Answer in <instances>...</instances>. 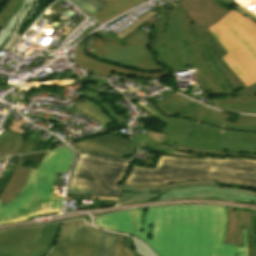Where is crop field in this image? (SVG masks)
Returning <instances> with one entry per match:
<instances>
[{
	"label": "crop field",
	"instance_id": "e1f06a70",
	"mask_svg": "<svg viewBox=\"0 0 256 256\" xmlns=\"http://www.w3.org/2000/svg\"><path fill=\"white\" fill-rule=\"evenodd\" d=\"M247 241H248V256H251L252 248H251V238H250L249 228H247Z\"/></svg>",
	"mask_w": 256,
	"mask_h": 256
},
{
	"label": "crop field",
	"instance_id": "cbeb9de0",
	"mask_svg": "<svg viewBox=\"0 0 256 256\" xmlns=\"http://www.w3.org/2000/svg\"><path fill=\"white\" fill-rule=\"evenodd\" d=\"M74 149L93 153L107 154L122 158L124 154L132 155L135 146L120 136L102 135L100 137L71 144Z\"/></svg>",
	"mask_w": 256,
	"mask_h": 256
},
{
	"label": "crop field",
	"instance_id": "d1516ede",
	"mask_svg": "<svg viewBox=\"0 0 256 256\" xmlns=\"http://www.w3.org/2000/svg\"><path fill=\"white\" fill-rule=\"evenodd\" d=\"M194 75L203 93L210 97L229 96L246 88L222 59L204 66Z\"/></svg>",
	"mask_w": 256,
	"mask_h": 256
},
{
	"label": "crop field",
	"instance_id": "e52e79f7",
	"mask_svg": "<svg viewBox=\"0 0 256 256\" xmlns=\"http://www.w3.org/2000/svg\"><path fill=\"white\" fill-rule=\"evenodd\" d=\"M217 182L185 181L155 187L121 185L119 205L147 201L154 197L160 201L175 199H212L256 203V192L216 187Z\"/></svg>",
	"mask_w": 256,
	"mask_h": 256
},
{
	"label": "crop field",
	"instance_id": "22f410ed",
	"mask_svg": "<svg viewBox=\"0 0 256 256\" xmlns=\"http://www.w3.org/2000/svg\"><path fill=\"white\" fill-rule=\"evenodd\" d=\"M86 41H84L74 52V61L77 65L81 67L88 68L92 70L90 73L103 76L110 77L111 73L119 74V75H127L140 79H155L162 78L163 76L168 74L167 70L161 72H153V73H143L132 71L128 69H124L118 66H114L102 61H99L89 55L86 54L85 48Z\"/></svg>",
	"mask_w": 256,
	"mask_h": 256
},
{
	"label": "crop field",
	"instance_id": "34b2d1b8",
	"mask_svg": "<svg viewBox=\"0 0 256 256\" xmlns=\"http://www.w3.org/2000/svg\"><path fill=\"white\" fill-rule=\"evenodd\" d=\"M157 107L167 116L193 120L183 145L215 151L256 153V117L239 115L235 124L228 114L214 111L177 93Z\"/></svg>",
	"mask_w": 256,
	"mask_h": 256
},
{
	"label": "crop field",
	"instance_id": "d3111659",
	"mask_svg": "<svg viewBox=\"0 0 256 256\" xmlns=\"http://www.w3.org/2000/svg\"><path fill=\"white\" fill-rule=\"evenodd\" d=\"M250 232L252 237V248H253L252 256H256V213H251Z\"/></svg>",
	"mask_w": 256,
	"mask_h": 256
},
{
	"label": "crop field",
	"instance_id": "5a996713",
	"mask_svg": "<svg viewBox=\"0 0 256 256\" xmlns=\"http://www.w3.org/2000/svg\"><path fill=\"white\" fill-rule=\"evenodd\" d=\"M149 36L143 34L137 29L122 39L126 42L121 46L113 38L103 42L100 39L94 43V46L101 53L94 57L121 67L143 72L161 71L164 68L158 66L148 50Z\"/></svg>",
	"mask_w": 256,
	"mask_h": 256
},
{
	"label": "crop field",
	"instance_id": "750c4746",
	"mask_svg": "<svg viewBox=\"0 0 256 256\" xmlns=\"http://www.w3.org/2000/svg\"><path fill=\"white\" fill-rule=\"evenodd\" d=\"M14 171L1 169L0 171V195Z\"/></svg>",
	"mask_w": 256,
	"mask_h": 256
},
{
	"label": "crop field",
	"instance_id": "4177f3b9",
	"mask_svg": "<svg viewBox=\"0 0 256 256\" xmlns=\"http://www.w3.org/2000/svg\"><path fill=\"white\" fill-rule=\"evenodd\" d=\"M118 235L101 232L98 256H115Z\"/></svg>",
	"mask_w": 256,
	"mask_h": 256
},
{
	"label": "crop field",
	"instance_id": "dd49c442",
	"mask_svg": "<svg viewBox=\"0 0 256 256\" xmlns=\"http://www.w3.org/2000/svg\"><path fill=\"white\" fill-rule=\"evenodd\" d=\"M210 31L228 52L222 58L247 87L256 82V23L231 10Z\"/></svg>",
	"mask_w": 256,
	"mask_h": 256
},
{
	"label": "crop field",
	"instance_id": "412701ff",
	"mask_svg": "<svg viewBox=\"0 0 256 256\" xmlns=\"http://www.w3.org/2000/svg\"><path fill=\"white\" fill-rule=\"evenodd\" d=\"M154 50L173 72L198 70L227 53L208 28L193 23L172 5L166 7L157 23Z\"/></svg>",
	"mask_w": 256,
	"mask_h": 256
},
{
	"label": "crop field",
	"instance_id": "5866460e",
	"mask_svg": "<svg viewBox=\"0 0 256 256\" xmlns=\"http://www.w3.org/2000/svg\"><path fill=\"white\" fill-rule=\"evenodd\" d=\"M83 1L87 2L88 4L94 6L95 8H97L99 10L106 7L103 4L99 3L97 0H83Z\"/></svg>",
	"mask_w": 256,
	"mask_h": 256
},
{
	"label": "crop field",
	"instance_id": "d9b57169",
	"mask_svg": "<svg viewBox=\"0 0 256 256\" xmlns=\"http://www.w3.org/2000/svg\"><path fill=\"white\" fill-rule=\"evenodd\" d=\"M169 4L177 5L189 19L206 27L216 23L226 14L205 0H182Z\"/></svg>",
	"mask_w": 256,
	"mask_h": 256
},
{
	"label": "crop field",
	"instance_id": "5142ce71",
	"mask_svg": "<svg viewBox=\"0 0 256 256\" xmlns=\"http://www.w3.org/2000/svg\"><path fill=\"white\" fill-rule=\"evenodd\" d=\"M39 6V0H24L21 9L13 16L5 30L0 32V47L9 51L20 37L25 25Z\"/></svg>",
	"mask_w": 256,
	"mask_h": 256
},
{
	"label": "crop field",
	"instance_id": "028f5c9d",
	"mask_svg": "<svg viewBox=\"0 0 256 256\" xmlns=\"http://www.w3.org/2000/svg\"><path fill=\"white\" fill-rule=\"evenodd\" d=\"M126 246L128 247V249L131 251V253L133 254V256H141L138 253L135 252L132 241L131 240H125ZM126 247V248H127Z\"/></svg>",
	"mask_w": 256,
	"mask_h": 256
},
{
	"label": "crop field",
	"instance_id": "28ad6ade",
	"mask_svg": "<svg viewBox=\"0 0 256 256\" xmlns=\"http://www.w3.org/2000/svg\"><path fill=\"white\" fill-rule=\"evenodd\" d=\"M58 226L59 223L0 232V256H45Z\"/></svg>",
	"mask_w": 256,
	"mask_h": 256
},
{
	"label": "crop field",
	"instance_id": "d8731c3e",
	"mask_svg": "<svg viewBox=\"0 0 256 256\" xmlns=\"http://www.w3.org/2000/svg\"><path fill=\"white\" fill-rule=\"evenodd\" d=\"M77 152V151H76ZM68 194L117 199L119 184L130 162L77 152Z\"/></svg>",
	"mask_w": 256,
	"mask_h": 256
},
{
	"label": "crop field",
	"instance_id": "3316defc",
	"mask_svg": "<svg viewBox=\"0 0 256 256\" xmlns=\"http://www.w3.org/2000/svg\"><path fill=\"white\" fill-rule=\"evenodd\" d=\"M99 236V231L86 226L82 220L64 222L48 256H97ZM124 239L131 238L119 235L116 256H132L124 244Z\"/></svg>",
	"mask_w": 256,
	"mask_h": 256
},
{
	"label": "crop field",
	"instance_id": "92a150f3",
	"mask_svg": "<svg viewBox=\"0 0 256 256\" xmlns=\"http://www.w3.org/2000/svg\"><path fill=\"white\" fill-rule=\"evenodd\" d=\"M22 165H23L22 157L18 156L15 172L12 178L10 179L7 187L5 188L2 195L0 196V200H2V205L6 204L12 198H14L18 194V192L21 190L22 186L24 185L29 173V169L22 168Z\"/></svg>",
	"mask_w": 256,
	"mask_h": 256
},
{
	"label": "crop field",
	"instance_id": "1d83c4d3",
	"mask_svg": "<svg viewBox=\"0 0 256 256\" xmlns=\"http://www.w3.org/2000/svg\"><path fill=\"white\" fill-rule=\"evenodd\" d=\"M136 252L140 253L143 256H154L143 244L132 239Z\"/></svg>",
	"mask_w": 256,
	"mask_h": 256
},
{
	"label": "crop field",
	"instance_id": "8a807250",
	"mask_svg": "<svg viewBox=\"0 0 256 256\" xmlns=\"http://www.w3.org/2000/svg\"><path fill=\"white\" fill-rule=\"evenodd\" d=\"M94 220L103 229L146 241L158 256H247L246 228L242 247L222 244L227 227L226 206L146 207Z\"/></svg>",
	"mask_w": 256,
	"mask_h": 256
},
{
	"label": "crop field",
	"instance_id": "a9b5d70f",
	"mask_svg": "<svg viewBox=\"0 0 256 256\" xmlns=\"http://www.w3.org/2000/svg\"><path fill=\"white\" fill-rule=\"evenodd\" d=\"M82 101L86 102H80L77 104L76 109L85 111L86 113H88L89 115L95 117L96 119H98L100 122H102L103 124H107L111 121H113L111 118H109L106 113L104 112V110L99 106V104L91 101V100H87V99H81Z\"/></svg>",
	"mask_w": 256,
	"mask_h": 256
},
{
	"label": "crop field",
	"instance_id": "bd1437ed",
	"mask_svg": "<svg viewBox=\"0 0 256 256\" xmlns=\"http://www.w3.org/2000/svg\"><path fill=\"white\" fill-rule=\"evenodd\" d=\"M68 1L77 5L82 10H84L92 15L95 14L97 11H99V10L93 8L92 6L88 5L87 3L83 2L82 0H68Z\"/></svg>",
	"mask_w": 256,
	"mask_h": 256
},
{
	"label": "crop field",
	"instance_id": "4a817a6b",
	"mask_svg": "<svg viewBox=\"0 0 256 256\" xmlns=\"http://www.w3.org/2000/svg\"><path fill=\"white\" fill-rule=\"evenodd\" d=\"M211 100L216 108L256 113V84L232 96Z\"/></svg>",
	"mask_w": 256,
	"mask_h": 256
},
{
	"label": "crop field",
	"instance_id": "730fd06b",
	"mask_svg": "<svg viewBox=\"0 0 256 256\" xmlns=\"http://www.w3.org/2000/svg\"><path fill=\"white\" fill-rule=\"evenodd\" d=\"M22 0H10L4 9L0 11V27L4 28L13 15L20 9Z\"/></svg>",
	"mask_w": 256,
	"mask_h": 256
},
{
	"label": "crop field",
	"instance_id": "ac0d7876",
	"mask_svg": "<svg viewBox=\"0 0 256 256\" xmlns=\"http://www.w3.org/2000/svg\"><path fill=\"white\" fill-rule=\"evenodd\" d=\"M179 150L207 154V159L162 154L156 169L133 166L123 184L155 186L175 181L209 180L256 188L255 154L214 152L183 145Z\"/></svg>",
	"mask_w": 256,
	"mask_h": 256
},
{
	"label": "crop field",
	"instance_id": "733c2abd",
	"mask_svg": "<svg viewBox=\"0 0 256 256\" xmlns=\"http://www.w3.org/2000/svg\"><path fill=\"white\" fill-rule=\"evenodd\" d=\"M150 105L143 106L150 111L151 115L157 117L160 121H165L167 126L163 129L162 133L167 134L160 144L180 146L184 136L192 121L178 118L164 116L160 110L153 104L151 99L146 100ZM142 106V105H141Z\"/></svg>",
	"mask_w": 256,
	"mask_h": 256
},
{
	"label": "crop field",
	"instance_id": "f4fd0767",
	"mask_svg": "<svg viewBox=\"0 0 256 256\" xmlns=\"http://www.w3.org/2000/svg\"><path fill=\"white\" fill-rule=\"evenodd\" d=\"M73 156L67 146L48 152L38 170H30L20 193L4 206L0 201V224L23 221L36 214L59 212L63 197L51 196L53 180L56 171L68 172Z\"/></svg>",
	"mask_w": 256,
	"mask_h": 256
},
{
	"label": "crop field",
	"instance_id": "d32e631a",
	"mask_svg": "<svg viewBox=\"0 0 256 256\" xmlns=\"http://www.w3.org/2000/svg\"><path fill=\"white\" fill-rule=\"evenodd\" d=\"M237 3L238 0H233ZM236 11L246 15L247 17L251 18L252 20L256 21V16L251 14L250 12L246 11L245 9L241 8L240 5L234 8Z\"/></svg>",
	"mask_w": 256,
	"mask_h": 256
},
{
	"label": "crop field",
	"instance_id": "ae1a2a85",
	"mask_svg": "<svg viewBox=\"0 0 256 256\" xmlns=\"http://www.w3.org/2000/svg\"><path fill=\"white\" fill-rule=\"evenodd\" d=\"M46 154L47 152L32 153V154L24 155L22 157L24 162H36L35 166L32 167V169L37 170L40 162L43 160Z\"/></svg>",
	"mask_w": 256,
	"mask_h": 256
},
{
	"label": "crop field",
	"instance_id": "214f88e0",
	"mask_svg": "<svg viewBox=\"0 0 256 256\" xmlns=\"http://www.w3.org/2000/svg\"><path fill=\"white\" fill-rule=\"evenodd\" d=\"M108 7L100 10L92 17L96 18L101 24L128 9L146 1V0H98Z\"/></svg>",
	"mask_w": 256,
	"mask_h": 256
},
{
	"label": "crop field",
	"instance_id": "dafd665d",
	"mask_svg": "<svg viewBox=\"0 0 256 256\" xmlns=\"http://www.w3.org/2000/svg\"><path fill=\"white\" fill-rule=\"evenodd\" d=\"M24 136L4 130L0 133V158L16 154Z\"/></svg>",
	"mask_w": 256,
	"mask_h": 256
},
{
	"label": "crop field",
	"instance_id": "0bd39190",
	"mask_svg": "<svg viewBox=\"0 0 256 256\" xmlns=\"http://www.w3.org/2000/svg\"><path fill=\"white\" fill-rule=\"evenodd\" d=\"M122 79L130 80V81H135V82H139V83H147V80H140V79H136V78H132V77H127V76H123Z\"/></svg>",
	"mask_w": 256,
	"mask_h": 256
},
{
	"label": "crop field",
	"instance_id": "eef30255",
	"mask_svg": "<svg viewBox=\"0 0 256 256\" xmlns=\"http://www.w3.org/2000/svg\"><path fill=\"white\" fill-rule=\"evenodd\" d=\"M156 13L157 12H153V11L150 10L148 13H146L142 18H140L138 21H136L134 24H132L126 30H124L123 32L117 34V36L122 39L124 36H127L129 33L134 31L137 27L142 25L144 22H146L148 19H150Z\"/></svg>",
	"mask_w": 256,
	"mask_h": 256
},
{
	"label": "crop field",
	"instance_id": "00972430",
	"mask_svg": "<svg viewBox=\"0 0 256 256\" xmlns=\"http://www.w3.org/2000/svg\"><path fill=\"white\" fill-rule=\"evenodd\" d=\"M81 97L92 99L100 104L105 110L108 116H110L120 127L126 123H129L126 118L119 114L112 106H110L105 99L101 97L100 93L84 90Z\"/></svg>",
	"mask_w": 256,
	"mask_h": 256
},
{
	"label": "crop field",
	"instance_id": "bc2a9ffb",
	"mask_svg": "<svg viewBox=\"0 0 256 256\" xmlns=\"http://www.w3.org/2000/svg\"><path fill=\"white\" fill-rule=\"evenodd\" d=\"M164 136H165L164 134L146 130L144 136L133 135V141L138 145V147L148 149L151 151H155V152H159V153L176 155V156H190V157L206 158V155L179 152V151H177L178 147L160 145L159 143L164 138Z\"/></svg>",
	"mask_w": 256,
	"mask_h": 256
},
{
	"label": "crop field",
	"instance_id": "120bbe31",
	"mask_svg": "<svg viewBox=\"0 0 256 256\" xmlns=\"http://www.w3.org/2000/svg\"><path fill=\"white\" fill-rule=\"evenodd\" d=\"M117 200H97L98 202V209L105 208V207H112L116 205Z\"/></svg>",
	"mask_w": 256,
	"mask_h": 256
}]
</instances>
